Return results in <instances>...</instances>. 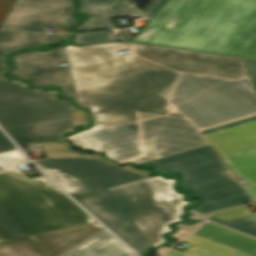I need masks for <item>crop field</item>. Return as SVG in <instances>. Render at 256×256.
I'll list each match as a JSON object with an SVG mask.
<instances>
[{
    "instance_id": "obj_1",
    "label": "crop field",
    "mask_w": 256,
    "mask_h": 256,
    "mask_svg": "<svg viewBox=\"0 0 256 256\" xmlns=\"http://www.w3.org/2000/svg\"><path fill=\"white\" fill-rule=\"evenodd\" d=\"M73 83L79 107L93 111L94 127L70 141L121 163L209 144L199 132L256 115L249 78L131 65Z\"/></svg>"
},
{
    "instance_id": "obj_2",
    "label": "crop field",
    "mask_w": 256,
    "mask_h": 256,
    "mask_svg": "<svg viewBox=\"0 0 256 256\" xmlns=\"http://www.w3.org/2000/svg\"><path fill=\"white\" fill-rule=\"evenodd\" d=\"M132 42L256 59V0H169Z\"/></svg>"
},
{
    "instance_id": "obj_3",
    "label": "crop field",
    "mask_w": 256,
    "mask_h": 256,
    "mask_svg": "<svg viewBox=\"0 0 256 256\" xmlns=\"http://www.w3.org/2000/svg\"><path fill=\"white\" fill-rule=\"evenodd\" d=\"M48 159L34 162L80 205L100 220L140 255L151 245L107 190L109 187L149 177L148 170L120 167L101 154L81 156L67 142H41Z\"/></svg>"
},
{
    "instance_id": "obj_4",
    "label": "crop field",
    "mask_w": 256,
    "mask_h": 256,
    "mask_svg": "<svg viewBox=\"0 0 256 256\" xmlns=\"http://www.w3.org/2000/svg\"><path fill=\"white\" fill-rule=\"evenodd\" d=\"M131 54L117 57L125 49L121 42L75 47L65 46L64 52L72 80L97 75L136 64L231 79L249 77L242 59L171 50L128 43Z\"/></svg>"
},
{
    "instance_id": "obj_5",
    "label": "crop field",
    "mask_w": 256,
    "mask_h": 256,
    "mask_svg": "<svg viewBox=\"0 0 256 256\" xmlns=\"http://www.w3.org/2000/svg\"><path fill=\"white\" fill-rule=\"evenodd\" d=\"M0 206L27 236L95 223L44 176L19 168L0 173Z\"/></svg>"
},
{
    "instance_id": "obj_6",
    "label": "crop field",
    "mask_w": 256,
    "mask_h": 256,
    "mask_svg": "<svg viewBox=\"0 0 256 256\" xmlns=\"http://www.w3.org/2000/svg\"><path fill=\"white\" fill-rule=\"evenodd\" d=\"M175 186H177V177L168 180L162 176H156L109 188V190L155 247L165 242L161 237L163 233L173 231L168 227L171 223L183 221L180 219L185 215L183 207L200 202V200L184 201L185 194L174 191Z\"/></svg>"
},
{
    "instance_id": "obj_7",
    "label": "crop field",
    "mask_w": 256,
    "mask_h": 256,
    "mask_svg": "<svg viewBox=\"0 0 256 256\" xmlns=\"http://www.w3.org/2000/svg\"><path fill=\"white\" fill-rule=\"evenodd\" d=\"M145 164L152 165L155 171H180V186L203 198V204L246 194L209 145Z\"/></svg>"
},
{
    "instance_id": "obj_8",
    "label": "crop field",
    "mask_w": 256,
    "mask_h": 256,
    "mask_svg": "<svg viewBox=\"0 0 256 256\" xmlns=\"http://www.w3.org/2000/svg\"><path fill=\"white\" fill-rule=\"evenodd\" d=\"M0 55V126L2 128L69 117L74 107L56 99L57 91L29 89L20 81H9L1 74L10 69Z\"/></svg>"
},
{
    "instance_id": "obj_9",
    "label": "crop field",
    "mask_w": 256,
    "mask_h": 256,
    "mask_svg": "<svg viewBox=\"0 0 256 256\" xmlns=\"http://www.w3.org/2000/svg\"><path fill=\"white\" fill-rule=\"evenodd\" d=\"M12 58L16 69L9 75L27 80L33 86H60L61 97H71L77 103L69 68L58 66L66 61L62 47L45 52L28 51Z\"/></svg>"
},
{
    "instance_id": "obj_10",
    "label": "crop field",
    "mask_w": 256,
    "mask_h": 256,
    "mask_svg": "<svg viewBox=\"0 0 256 256\" xmlns=\"http://www.w3.org/2000/svg\"><path fill=\"white\" fill-rule=\"evenodd\" d=\"M72 0H17L2 26L15 30L45 32L46 25L72 26Z\"/></svg>"
},
{
    "instance_id": "obj_11",
    "label": "crop field",
    "mask_w": 256,
    "mask_h": 256,
    "mask_svg": "<svg viewBox=\"0 0 256 256\" xmlns=\"http://www.w3.org/2000/svg\"><path fill=\"white\" fill-rule=\"evenodd\" d=\"M256 92V61L243 59ZM201 134L223 156L256 146V116L213 128Z\"/></svg>"
},
{
    "instance_id": "obj_12",
    "label": "crop field",
    "mask_w": 256,
    "mask_h": 256,
    "mask_svg": "<svg viewBox=\"0 0 256 256\" xmlns=\"http://www.w3.org/2000/svg\"><path fill=\"white\" fill-rule=\"evenodd\" d=\"M86 110L76 109L69 118L4 129L8 135L24 137L31 141L64 142L62 133L72 132L73 127L89 126Z\"/></svg>"
},
{
    "instance_id": "obj_13",
    "label": "crop field",
    "mask_w": 256,
    "mask_h": 256,
    "mask_svg": "<svg viewBox=\"0 0 256 256\" xmlns=\"http://www.w3.org/2000/svg\"><path fill=\"white\" fill-rule=\"evenodd\" d=\"M79 12L87 13L88 18L74 32L114 28L110 17L140 16L127 0H82ZM104 13L108 16H102Z\"/></svg>"
},
{
    "instance_id": "obj_14",
    "label": "crop field",
    "mask_w": 256,
    "mask_h": 256,
    "mask_svg": "<svg viewBox=\"0 0 256 256\" xmlns=\"http://www.w3.org/2000/svg\"><path fill=\"white\" fill-rule=\"evenodd\" d=\"M102 229H104L102 226L95 223L35 235L30 238L37 242L43 251L50 256H60Z\"/></svg>"
},
{
    "instance_id": "obj_15",
    "label": "crop field",
    "mask_w": 256,
    "mask_h": 256,
    "mask_svg": "<svg viewBox=\"0 0 256 256\" xmlns=\"http://www.w3.org/2000/svg\"><path fill=\"white\" fill-rule=\"evenodd\" d=\"M30 162L13 145V143L0 131V168L6 170L16 168V165ZM1 171V169H0ZM0 236L4 240L15 239L26 236L22 230L11 220V218L0 207Z\"/></svg>"
},
{
    "instance_id": "obj_16",
    "label": "crop field",
    "mask_w": 256,
    "mask_h": 256,
    "mask_svg": "<svg viewBox=\"0 0 256 256\" xmlns=\"http://www.w3.org/2000/svg\"><path fill=\"white\" fill-rule=\"evenodd\" d=\"M63 256H134L106 231Z\"/></svg>"
},
{
    "instance_id": "obj_17",
    "label": "crop field",
    "mask_w": 256,
    "mask_h": 256,
    "mask_svg": "<svg viewBox=\"0 0 256 256\" xmlns=\"http://www.w3.org/2000/svg\"><path fill=\"white\" fill-rule=\"evenodd\" d=\"M183 241L194 247L183 253L172 248L166 256H255L196 234Z\"/></svg>"
},
{
    "instance_id": "obj_18",
    "label": "crop field",
    "mask_w": 256,
    "mask_h": 256,
    "mask_svg": "<svg viewBox=\"0 0 256 256\" xmlns=\"http://www.w3.org/2000/svg\"><path fill=\"white\" fill-rule=\"evenodd\" d=\"M63 36L0 30V54L6 55L22 47H36L49 42H59Z\"/></svg>"
},
{
    "instance_id": "obj_19",
    "label": "crop field",
    "mask_w": 256,
    "mask_h": 256,
    "mask_svg": "<svg viewBox=\"0 0 256 256\" xmlns=\"http://www.w3.org/2000/svg\"><path fill=\"white\" fill-rule=\"evenodd\" d=\"M196 234L230 245L256 255V239L221 228L211 223L204 224Z\"/></svg>"
},
{
    "instance_id": "obj_20",
    "label": "crop field",
    "mask_w": 256,
    "mask_h": 256,
    "mask_svg": "<svg viewBox=\"0 0 256 256\" xmlns=\"http://www.w3.org/2000/svg\"><path fill=\"white\" fill-rule=\"evenodd\" d=\"M239 180L248 184L256 182V147L223 156Z\"/></svg>"
},
{
    "instance_id": "obj_21",
    "label": "crop field",
    "mask_w": 256,
    "mask_h": 256,
    "mask_svg": "<svg viewBox=\"0 0 256 256\" xmlns=\"http://www.w3.org/2000/svg\"><path fill=\"white\" fill-rule=\"evenodd\" d=\"M41 251L28 237L0 242V256H46Z\"/></svg>"
},
{
    "instance_id": "obj_22",
    "label": "crop field",
    "mask_w": 256,
    "mask_h": 256,
    "mask_svg": "<svg viewBox=\"0 0 256 256\" xmlns=\"http://www.w3.org/2000/svg\"><path fill=\"white\" fill-rule=\"evenodd\" d=\"M208 220L226 227L237 229L241 232L256 237V215L228 222H224L212 217H210Z\"/></svg>"
},
{
    "instance_id": "obj_23",
    "label": "crop field",
    "mask_w": 256,
    "mask_h": 256,
    "mask_svg": "<svg viewBox=\"0 0 256 256\" xmlns=\"http://www.w3.org/2000/svg\"><path fill=\"white\" fill-rule=\"evenodd\" d=\"M74 35V43L76 45L120 41L118 36H111L109 31L79 33Z\"/></svg>"
},
{
    "instance_id": "obj_24",
    "label": "crop field",
    "mask_w": 256,
    "mask_h": 256,
    "mask_svg": "<svg viewBox=\"0 0 256 256\" xmlns=\"http://www.w3.org/2000/svg\"><path fill=\"white\" fill-rule=\"evenodd\" d=\"M249 201H251V199L248 196V194H246V195L239 196V197H236L233 199L199 206L196 209H194V211H198V212L208 215L212 211H217V210H221V209H225V208H229V207H233V206H237V205H242L243 203H246Z\"/></svg>"
},
{
    "instance_id": "obj_25",
    "label": "crop field",
    "mask_w": 256,
    "mask_h": 256,
    "mask_svg": "<svg viewBox=\"0 0 256 256\" xmlns=\"http://www.w3.org/2000/svg\"><path fill=\"white\" fill-rule=\"evenodd\" d=\"M255 214H256V212L251 213L248 210V208L245 206L242 208H236V209L216 212V213L212 214L211 216L221 219V220H224V221H228V220L251 216V215H255Z\"/></svg>"
},
{
    "instance_id": "obj_26",
    "label": "crop field",
    "mask_w": 256,
    "mask_h": 256,
    "mask_svg": "<svg viewBox=\"0 0 256 256\" xmlns=\"http://www.w3.org/2000/svg\"><path fill=\"white\" fill-rule=\"evenodd\" d=\"M168 0H152L149 7L142 12L146 23L159 11V9L167 2Z\"/></svg>"
},
{
    "instance_id": "obj_27",
    "label": "crop field",
    "mask_w": 256,
    "mask_h": 256,
    "mask_svg": "<svg viewBox=\"0 0 256 256\" xmlns=\"http://www.w3.org/2000/svg\"><path fill=\"white\" fill-rule=\"evenodd\" d=\"M16 0H0V26Z\"/></svg>"
},
{
    "instance_id": "obj_28",
    "label": "crop field",
    "mask_w": 256,
    "mask_h": 256,
    "mask_svg": "<svg viewBox=\"0 0 256 256\" xmlns=\"http://www.w3.org/2000/svg\"><path fill=\"white\" fill-rule=\"evenodd\" d=\"M190 232L188 231H185V230H182L180 229L179 231H177L176 233L170 235L178 240L182 239L184 236H186L187 234H189Z\"/></svg>"
},
{
    "instance_id": "obj_29",
    "label": "crop field",
    "mask_w": 256,
    "mask_h": 256,
    "mask_svg": "<svg viewBox=\"0 0 256 256\" xmlns=\"http://www.w3.org/2000/svg\"><path fill=\"white\" fill-rule=\"evenodd\" d=\"M191 213H192V219H197V220H201V221H203L207 216L206 215H203V214H201V213H198V212H194V211H190Z\"/></svg>"
},
{
    "instance_id": "obj_30",
    "label": "crop field",
    "mask_w": 256,
    "mask_h": 256,
    "mask_svg": "<svg viewBox=\"0 0 256 256\" xmlns=\"http://www.w3.org/2000/svg\"><path fill=\"white\" fill-rule=\"evenodd\" d=\"M199 225H200V223H197L195 226H186V225H184V224H178L177 227L192 232V231H194Z\"/></svg>"
},
{
    "instance_id": "obj_31",
    "label": "crop field",
    "mask_w": 256,
    "mask_h": 256,
    "mask_svg": "<svg viewBox=\"0 0 256 256\" xmlns=\"http://www.w3.org/2000/svg\"><path fill=\"white\" fill-rule=\"evenodd\" d=\"M12 139L19 145V147H20L21 149L26 148L25 145H24V141H25L26 139H24V138H16V137H12Z\"/></svg>"
},
{
    "instance_id": "obj_32",
    "label": "crop field",
    "mask_w": 256,
    "mask_h": 256,
    "mask_svg": "<svg viewBox=\"0 0 256 256\" xmlns=\"http://www.w3.org/2000/svg\"><path fill=\"white\" fill-rule=\"evenodd\" d=\"M120 34L123 36V38H124L125 40H130V39H132V36L130 35V33H129L128 30H126V29L120 30Z\"/></svg>"
},
{
    "instance_id": "obj_33",
    "label": "crop field",
    "mask_w": 256,
    "mask_h": 256,
    "mask_svg": "<svg viewBox=\"0 0 256 256\" xmlns=\"http://www.w3.org/2000/svg\"><path fill=\"white\" fill-rule=\"evenodd\" d=\"M248 191L251 193V195L255 198L256 200V185H252L250 187H247Z\"/></svg>"
},
{
    "instance_id": "obj_34",
    "label": "crop field",
    "mask_w": 256,
    "mask_h": 256,
    "mask_svg": "<svg viewBox=\"0 0 256 256\" xmlns=\"http://www.w3.org/2000/svg\"><path fill=\"white\" fill-rule=\"evenodd\" d=\"M168 250V248L163 247L160 249H156V251L158 252V254L161 256L162 254H164L166 251Z\"/></svg>"
},
{
    "instance_id": "obj_35",
    "label": "crop field",
    "mask_w": 256,
    "mask_h": 256,
    "mask_svg": "<svg viewBox=\"0 0 256 256\" xmlns=\"http://www.w3.org/2000/svg\"><path fill=\"white\" fill-rule=\"evenodd\" d=\"M3 239L0 237V241H2Z\"/></svg>"
}]
</instances>
